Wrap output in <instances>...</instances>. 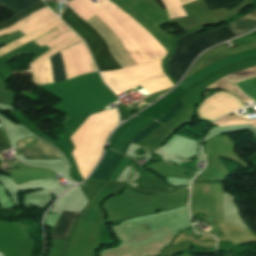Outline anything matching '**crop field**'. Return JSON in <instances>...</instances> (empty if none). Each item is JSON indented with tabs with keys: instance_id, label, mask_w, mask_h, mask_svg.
<instances>
[{
	"instance_id": "8",
	"label": "crop field",
	"mask_w": 256,
	"mask_h": 256,
	"mask_svg": "<svg viewBox=\"0 0 256 256\" xmlns=\"http://www.w3.org/2000/svg\"><path fill=\"white\" fill-rule=\"evenodd\" d=\"M45 7L44 3L41 1L39 3H37L36 5L18 13L17 15H15L14 17H12L11 19L1 22L0 23V30L7 28L13 24H15L16 22H18L19 20L31 15L32 13L36 12L37 10L41 9Z\"/></svg>"
},
{
	"instance_id": "9",
	"label": "crop field",
	"mask_w": 256,
	"mask_h": 256,
	"mask_svg": "<svg viewBox=\"0 0 256 256\" xmlns=\"http://www.w3.org/2000/svg\"><path fill=\"white\" fill-rule=\"evenodd\" d=\"M209 10L224 7L231 9L243 2V0H204ZM230 11V10H229Z\"/></svg>"
},
{
	"instance_id": "11",
	"label": "crop field",
	"mask_w": 256,
	"mask_h": 256,
	"mask_svg": "<svg viewBox=\"0 0 256 256\" xmlns=\"http://www.w3.org/2000/svg\"><path fill=\"white\" fill-rule=\"evenodd\" d=\"M7 149H10V148H9L8 144L6 143V141L4 140V138L2 137V135L0 133V152L2 150H7Z\"/></svg>"
},
{
	"instance_id": "4",
	"label": "crop field",
	"mask_w": 256,
	"mask_h": 256,
	"mask_svg": "<svg viewBox=\"0 0 256 256\" xmlns=\"http://www.w3.org/2000/svg\"><path fill=\"white\" fill-rule=\"evenodd\" d=\"M79 213L63 211L56 223L51 237L55 239L66 240Z\"/></svg>"
},
{
	"instance_id": "10",
	"label": "crop field",
	"mask_w": 256,
	"mask_h": 256,
	"mask_svg": "<svg viewBox=\"0 0 256 256\" xmlns=\"http://www.w3.org/2000/svg\"><path fill=\"white\" fill-rule=\"evenodd\" d=\"M254 40H256V31H254V32H252V33H250L246 36H243L239 39L232 40V41H234L236 43H239L241 45H244V44L249 43V42L254 41Z\"/></svg>"
},
{
	"instance_id": "7",
	"label": "crop field",
	"mask_w": 256,
	"mask_h": 256,
	"mask_svg": "<svg viewBox=\"0 0 256 256\" xmlns=\"http://www.w3.org/2000/svg\"><path fill=\"white\" fill-rule=\"evenodd\" d=\"M41 0H0V4L5 6L14 15L21 10L39 2Z\"/></svg>"
},
{
	"instance_id": "5",
	"label": "crop field",
	"mask_w": 256,
	"mask_h": 256,
	"mask_svg": "<svg viewBox=\"0 0 256 256\" xmlns=\"http://www.w3.org/2000/svg\"><path fill=\"white\" fill-rule=\"evenodd\" d=\"M231 29L240 35L256 27V6L245 16H242L230 24Z\"/></svg>"
},
{
	"instance_id": "12",
	"label": "crop field",
	"mask_w": 256,
	"mask_h": 256,
	"mask_svg": "<svg viewBox=\"0 0 256 256\" xmlns=\"http://www.w3.org/2000/svg\"><path fill=\"white\" fill-rule=\"evenodd\" d=\"M155 1H156V3H157L162 9H165V8H166L165 5L162 3L161 0H155Z\"/></svg>"
},
{
	"instance_id": "1",
	"label": "crop field",
	"mask_w": 256,
	"mask_h": 256,
	"mask_svg": "<svg viewBox=\"0 0 256 256\" xmlns=\"http://www.w3.org/2000/svg\"><path fill=\"white\" fill-rule=\"evenodd\" d=\"M201 31H195L179 39L176 51L166 64L167 72L177 83L198 54L218 42L235 37L228 26L196 35Z\"/></svg>"
},
{
	"instance_id": "3",
	"label": "crop field",
	"mask_w": 256,
	"mask_h": 256,
	"mask_svg": "<svg viewBox=\"0 0 256 256\" xmlns=\"http://www.w3.org/2000/svg\"><path fill=\"white\" fill-rule=\"evenodd\" d=\"M17 148L26 160L61 158L54 149L43 144L33 136L18 141Z\"/></svg>"
},
{
	"instance_id": "13",
	"label": "crop field",
	"mask_w": 256,
	"mask_h": 256,
	"mask_svg": "<svg viewBox=\"0 0 256 256\" xmlns=\"http://www.w3.org/2000/svg\"><path fill=\"white\" fill-rule=\"evenodd\" d=\"M66 5H68V1L66 0Z\"/></svg>"
},
{
	"instance_id": "2",
	"label": "crop field",
	"mask_w": 256,
	"mask_h": 256,
	"mask_svg": "<svg viewBox=\"0 0 256 256\" xmlns=\"http://www.w3.org/2000/svg\"><path fill=\"white\" fill-rule=\"evenodd\" d=\"M61 18L85 40L100 71L121 69L110 55L106 41L85 21L71 11L68 6Z\"/></svg>"
},
{
	"instance_id": "6",
	"label": "crop field",
	"mask_w": 256,
	"mask_h": 256,
	"mask_svg": "<svg viewBox=\"0 0 256 256\" xmlns=\"http://www.w3.org/2000/svg\"><path fill=\"white\" fill-rule=\"evenodd\" d=\"M50 59L53 72V82L56 83L66 80L64 65L60 53L50 57Z\"/></svg>"
}]
</instances>
